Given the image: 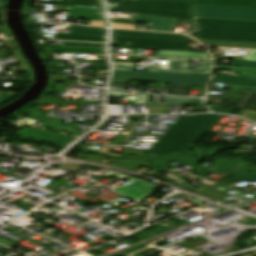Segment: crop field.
Here are the masks:
<instances>
[{"label": "crop field", "mask_w": 256, "mask_h": 256, "mask_svg": "<svg viewBox=\"0 0 256 256\" xmlns=\"http://www.w3.org/2000/svg\"><path fill=\"white\" fill-rule=\"evenodd\" d=\"M220 116L208 114L180 117L147 154L191 153L187 147L196 144Z\"/></svg>", "instance_id": "obj_1"}, {"label": "crop field", "mask_w": 256, "mask_h": 256, "mask_svg": "<svg viewBox=\"0 0 256 256\" xmlns=\"http://www.w3.org/2000/svg\"><path fill=\"white\" fill-rule=\"evenodd\" d=\"M197 21L199 30L196 38L256 42V23L205 19Z\"/></svg>", "instance_id": "obj_2"}, {"label": "crop field", "mask_w": 256, "mask_h": 256, "mask_svg": "<svg viewBox=\"0 0 256 256\" xmlns=\"http://www.w3.org/2000/svg\"><path fill=\"white\" fill-rule=\"evenodd\" d=\"M117 3L118 7L110 6L109 10L139 13L174 19L192 20L189 3L155 2V1H121L107 0Z\"/></svg>", "instance_id": "obj_3"}, {"label": "crop field", "mask_w": 256, "mask_h": 256, "mask_svg": "<svg viewBox=\"0 0 256 256\" xmlns=\"http://www.w3.org/2000/svg\"><path fill=\"white\" fill-rule=\"evenodd\" d=\"M210 75L115 71L112 79L140 80L204 87Z\"/></svg>", "instance_id": "obj_4"}, {"label": "crop field", "mask_w": 256, "mask_h": 256, "mask_svg": "<svg viewBox=\"0 0 256 256\" xmlns=\"http://www.w3.org/2000/svg\"><path fill=\"white\" fill-rule=\"evenodd\" d=\"M194 17L256 21V9L192 6Z\"/></svg>", "instance_id": "obj_5"}, {"label": "crop field", "mask_w": 256, "mask_h": 256, "mask_svg": "<svg viewBox=\"0 0 256 256\" xmlns=\"http://www.w3.org/2000/svg\"><path fill=\"white\" fill-rule=\"evenodd\" d=\"M112 43L129 44L128 49L186 51L188 43L113 37Z\"/></svg>", "instance_id": "obj_6"}, {"label": "crop field", "mask_w": 256, "mask_h": 256, "mask_svg": "<svg viewBox=\"0 0 256 256\" xmlns=\"http://www.w3.org/2000/svg\"><path fill=\"white\" fill-rule=\"evenodd\" d=\"M156 59L168 60L167 63H173V69L150 68V69H147L146 71L211 74L214 68L213 60H211V62H207V60H201L200 67H188L189 59H174V58H156Z\"/></svg>", "instance_id": "obj_7"}, {"label": "crop field", "mask_w": 256, "mask_h": 256, "mask_svg": "<svg viewBox=\"0 0 256 256\" xmlns=\"http://www.w3.org/2000/svg\"><path fill=\"white\" fill-rule=\"evenodd\" d=\"M29 115L42 120L44 122L41 126L42 128L68 133L76 136H79L84 132L77 130L76 124L62 125V119L54 117L48 118L46 117L47 113L44 112L32 111L29 113Z\"/></svg>", "instance_id": "obj_8"}, {"label": "crop field", "mask_w": 256, "mask_h": 256, "mask_svg": "<svg viewBox=\"0 0 256 256\" xmlns=\"http://www.w3.org/2000/svg\"><path fill=\"white\" fill-rule=\"evenodd\" d=\"M19 136L28 137V138H39L44 139L46 141L66 145L72 142L75 137L38 129V128H30V129H24L21 133L18 134Z\"/></svg>", "instance_id": "obj_9"}, {"label": "crop field", "mask_w": 256, "mask_h": 256, "mask_svg": "<svg viewBox=\"0 0 256 256\" xmlns=\"http://www.w3.org/2000/svg\"><path fill=\"white\" fill-rule=\"evenodd\" d=\"M113 36L192 42V40L189 37L183 36V35L123 31V30H113Z\"/></svg>", "instance_id": "obj_10"}, {"label": "crop field", "mask_w": 256, "mask_h": 256, "mask_svg": "<svg viewBox=\"0 0 256 256\" xmlns=\"http://www.w3.org/2000/svg\"><path fill=\"white\" fill-rule=\"evenodd\" d=\"M133 184L116 189V191L132 197L136 200L140 199L145 194L155 190L157 186L141 181L139 179L129 176L128 178Z\"/></svg>", "instance_id": "obj_11"}, {"label": "crop field", "mask_w": 256, "mask_h": 256, "mask_svg": "<svg viewBox=\"0 0 256 256\" xmlns=\"http://www.w3.org/2000/svg\"><path fill=\"white\" fill-rule=\"evenodd\" d=\"M212 82L231 83L229 88L242 91H256V79L215 75Z\"/></svg>", "instance_id": "obj_12"}, {"label": "crop field", "mask_w": 256, "mask_h": 256, "mask_svg": "<svg viewBox=\"0 0 256 256\" xmlns=\"http://www.w3.org/2000/svg\"><path fill=\"white\" fill-rule=\"evenodd\" d=\"M136 21L155 23L152 24L151 30L172 32L177 20L136 14Z\"/></svg>", "instance_id": "obj_13"}, {"label": "crop field", "mask_w": 256, "mask_h": 256, "mask_svg": "<svg viewBox=\"0 0 256 256\" xmlns=\"http://www.w3.org/2000/svg\"><path fill=\"white\" fill-rule=\"evenodd\" d=\"M192 4L256 7V0H191Z\"/></svg>", "instance_id": "obj_14"}, {"label": "crop field", "mask_w": 256, "mask_h": 256, "mask_svg": "<svg viewBox=\"0 0 256 256\" xmlns=\"http://www.w3.org/2000/svg\"><path fill=\"white\" fill-rule=\"evenodd\" d=\"M207 45L222 46V47H237V48H256V43L252 42H231V41H215L197 39Z\"/></svg>", "instance_id": "obj_15"}, {"label": "crop field", "mask_w": 256, "mask_h": 256, "mask_svg": "<svg viewBox=\"0 0 256 256\" xmlns=\"http://www.w3.org/2000/svg\"><path fill=\"white\" fill-rule=\"evenodd\" d=\"M228 105L235 108L256 110V92H246L241 103L228 101Z\"/></svg>", "instance_id": "obj_16"}, {"label": "crop field", "mask_w": 256, "mask_h": 256, "mask_svg": "<svg viewBox=\"0 0 256 256\" xmlns=\"http://www.w3.org/2000/svg\"><path fill=\"white\" fill-rule=\"evenodd\" d=\"M49 52L58 53H91V54H103V49H81V48H54V47H43Z\"/></svg>", "instance_id": "obj_17"}, {"label": "crop field", "mask_w": 256, "mask_h": 256, "mask_svg": "<svg viewBox=\"0 0 256 256\" xmlns=\"http://www.w3.org/2000/svg\"><path fill=\"white\" fill-rule=\"evenodd\" d=\"M156 56L209 58L207 53L157 51Z\"/></svg>", "instance_id": "obj_18"}, {"label": "crop field", "mask_w": 256, "mask_h": 256, "mask_svg": "<svg viewBox=\"0 0 256 256\" xmlns=\"http://www.w3.org/2000/svg\"><path fill=\"white\" fill-rule=\"evenodd\" d=\"M54 39H68V40L104 42V37L87 36V35H75V34H56Z\"/></svg>", "instance_id": "obj_19"}, {"label": "crop field", "mask_w": 256, "mask_h": 256, "mask_svg": "<svg viewBox=\"0 0 256 256\" xmlns=\"http://www.w3.org/2000/svg\"><path fill=\"white\" fill-rule=\"evenodd\" d=\"M70 33L105 36L106 29L80 27L73 25Z\"/></svg>", "instance_id": "obj_20"}, {"label": "crop field", "mask_w": 256, "mask_h": 256, "mask_svg": "<svg viewBox=\"0 0 256 256\" xmlns=\"http://www.w3.org/2000/svg\"><path fill=\"white\" fill-rule=\"evenodd\" d=\"M165 104L190 105L203 104L202 99L166 97Z\"/></svg>", "instance_id": "obj_21"}, {"label": "crop field", "mask_w": 256, "mask_h": 256, "mask_svg": "<svg viewBox=\"0 0 256 256\" xmlns=\"http://www.w3.org/2000/svg\"><path fill=\"white\" fill-rule=\"evenodd\" d=\"M65 4L100 9L98 0H65Z\"/></svg>", "instance_id": "obj_22"}, {"label": "crop field", "mask_w": 256, "mask_h": 256, "mask_svg": "<svg viewBox=\"0 0 256 256\" xmlns=\"http://www.w3.org/2000/svg\"><path fill=\"white\" fill-rule=\"evenodd\" d=\"M220 173L233 175L229 180H235V181H256V175H254V174H248V173H244V172H238V173L220 172Z\"/></svg>", "instance_id": "obj_23"}, {"label": "crop field", "mask_w": 256, "mask_h": 256, "mask_svg": "<svg viewBox=\"0 0 256 256\" xmlns=\"http://www.w3.org/2000/svg\"><path fill=\"white\" fill-rule=\"evenodd\" d=\"M208 90H216V89H208ZM227 94H225L223 100H231V101H237L241 102L245 92L241 91H233V90H220Z\"/></svg>", "instance_id": "obj_24"}, {"label": "crop field", "mask_w": 256, "mask_h": 256, "mask_svg": "<svg viewBox=\"0 0 256 256\" xmlns=\"http://www.w3.org/2000/svg\"><path fill=\"white\" fill-rule=\"evenodd\" d=\"M104 44L62 42L60 47L103 48Z\"/></svg>", "instance_id": "obj_25"}, {"label": "crop field", "mask_w": 256, "mask_h": 256, "mask_svg": "<svg viewBox=\"0 0 256 256\" xmlns=\"http://www.w3.org/2000/svg\"><path fill=\"white\" fill-rule=\"evenodd\" d=\"M64 11H73V12L101 15L100 10H97V9H89V8H81V7H73V6H69Z\"/></svg>", "instance_id": "obj_26"}, {"label": "crop field", "mask_w": 256, "mask_h": 256, "mask_svg": "<svg viewBox=\"0 0 256 256\" xmlns=\"http://www.w3.org/2000/svg\"><path fill=\"white\" fill-rule=\"evenodd\" d=\"M69 17H74V18H85V19H94V20H102L101 16H95V15H85V14H75V13H70Z\"/></svg>", "instance_id": "obj_27"}, {"label": "crop field", "mask_w": 256, "mask_h": 256, "mask_svg": "<svg viewBox=\"0 0 256 256\" xmlns=\"http://www.w3.org/2000/svg\"><path fill=\"white\" fill-rule=\"evenodd\" d=\"M244 76L256 78V68L243 67L242 71Z\"/></svg>", "instance_id": "obj_28"}, {"label": "crop field", "mask_w": 256, "mask_h": 256, "mask_svg": "<svg viewBox=\"0 0 256 256\" xmlns=\"http://www.w3.org/2000/svg\"><path fill=\"white\" fill-rule=\"evenodd\" d=\"M231 65L256 67V62L233 60Z\"/></svg>", "instance_id": "obj_29"}, {"label": "crop field", "mask_w": 256, "mask_h": 256, "mask_svg": "<svg viewBox=\"0 0 256 256\" xmlns=\"http://www.w3.org/2000/svg\"><path fill=\"white\" fill-rule=\"evenodd\" d=\"M240 116L256 121V112L255 111L242 110Z\"/></svg>", "instance_id": "obj_30"}, {"label": "crop field", "mask_w": 256, "mask_h": 256, "mask_svg": "<svg viewBox=\"0 0 256 256\" xmlns=\"http://www.w3.org/2000/svg\"><path fill=\"white\" fill-rule=\"evenodd\" d=\"M109 176H120L122 179H118V180H123L125 179L128 175H125V174H122V173H118V172H115V171H111L109 170L108 172H106L104 175H102V177H109Z\"/></svg>", "instance_id": "obj_31"}, {"label": "crop field", "mask_w": 256, "mask_h": 256, "mask_svg": "<svg viewBox=\"0 0 256 256\" xmlns=\"http://www.w3.org/2000/svg\"><path fill=\"white\" fill-rule=\"evenodd\" d=\"M242 67L219 65L218 69L240 72Z\"/></svg>", "instance_id": "obj_32"}, {"label": "crop field", "mask_w": 256, "mask_h": 256, "mask_svg": "<svg viewBox=\"0 0 256 256\" xmlns=\"http://www.w3.org/2000/svg\"><path fill=\"white\" fill-rule=\"evenodd\" d=\"M14 95H16L15 93H10V92H7L3 95L0 96V104L8 101L9 99H11Z\"/></svg>", "instance_id": "obj_33"}, {"label": "crop field", "mask_w": 256, "mask_h": 256, "mask_svg": "<svg viewBox=\"0 0 256 256\" xmlns=\"http://www.w3.org/2000/svg\"><path fill=\"white\" fill-rule=\"evenodd\" d=\"M115 70L133 71L134 65H114Z\"/></svg>", "instance_id": "obj_34"}, {"label": "crop field", "mask_w": 256, "mask_h": 256, "mask_svg": "<svg viewBox=\"0 0 256 256\" xmlns=\"http://www.w3.org/2000/svg\"><path fill=\"white\" fill-rule=\"evenodd\" d=\"M211 109L214 112H223V113H229L232 114L234 109H229V108H217V107H211Z\"/></svg>", "instance_id": "obj_35"}, {"label": "crop field", "mask_w": 256, "mask_h": 256, "mask_svg": "<svg viewBox=\"0 0 256 256\" xmlns=\"http://www.w3.org/2000/svg\"><path fill=\"white\" fill-rule=\"evenodd\" d=\"M243 60L256 61V51H249L247 57H244Z\"/></svg>", "instance_id": "obj_36"}, {"label": "crop field", "mask_w": 256, "mask_h": 256, "mask_svg": "<svg viewBox=\"0 0 256 256\" xmlns=\"http://www.w3.org/2000/svg\"><path fill=\"white\" fill-rule=\"evenodd\" d=\"M113 27L135 29V25H126V24L113 23Z\"/></svg>", "instance_id": "obj_37"}, {"label": "crop field", "mask_w": 256, "mask_h": 256, "mask_svg": "<svg viewBox=\"0 0 256 256\" xmlns=\"http://www.w3.org/2000/svg\"><path fill=\"white\" fill-rule=\"evenodd\" d=\"M112 22L115 23H126V24H135L136 21H124V20H116V19H110Z\"/></svg>", "instance_id": "obj_38"}, {"label": "crop field", "mask_w": 256, "mask_h": 256, "mask_svg": "<svg viewBox=\"0 0 256 256\" xmlns=\"http://www.w3.org/2000/svg\"><path fill=\"white\" fill-rule=\"evenodd\" d=\"M90 26H104L102 22L100 21H94V20H91Z\"/></svg>", "instance_id": "obj_39"}, {"label": "crop field", "mask_w": 256, "mask_h": 256, "mask_svg": "<svg viewBox=\"0 0 256 256\" xmlns=\"http://www.w3.org/2000/svg\"><path fill=\"white\" fill-rule=\"evenodd\" d=\"M246 144H251V145H255L256 146V138H250Z\"/></svg>", "instance_id": "obj_40"}, {"label": "crop field", "mask_w": 256, "mask_h": 256, "mask_svg": "<svg viewBox=\"0 0 256 256\" xmlns=\"http://www.w3.org/2000/svg\"><path fill=\"white\" fill-rule=\"evenodd\" d=\"M156 1L188 2V0H156Z\"/></svg>", "instance_id": "obj_41"}, {"label": "crop field", "mask_w": 256, "mask_h": 256, "mask_svg": "<svg viewBox=\"0 0 256 256\" xmlns=\"http://www.w3.org/2000/svg\"><path fill=\"white\" fill-rule=\"evenodd\" d=\"M199 179H201V178H199ZM202 180H204V179H202ZM202 183L214 185L217 182L204 180Z\"/></svg>", "instance_id": "obj_42"}, {"label": "crop field", "mask_w": 256, "mask_h": 256, "mask_svg": "<svg viewBox=\"0 0 256 256\" xmlns=\"http://www.w3.org/2000/svg\"><path fill=\"white\" fill-rule=\"evenodd\" d=\"M220 183H217L216 184V186H220V187H224V188H228V189H233V190H237V189H235V188H229V187H225V186H223V185H219Z\"/></svg>", "instance_id": "obj_43"}, {"label": "crop field", "mask_w": 256, "mask_h": 256, "mask_svg": "<svg viewBox=\"0 0 256 256\" xmlns=\"http://www.w3.org/2000/svg\"><path fill=\"white\" fill-rule=\"evenodd\" d=\"M152 57H140L139 59H143V60H149L151 59Z\"/></svg>", "instance_id": "obj_44"}, {"label": "crop field", "mask_w": 256, "mask_h": 256, "mask_svg": "<svg viewBox=\"0 0 256 256\" xmlns=\"http://www.w3.org/2000/svg\"><path fill=\"white\" fill-rule=\"evenodd\" d=\"M213 171H215V170H211V171H209V172H207V173H205V174H203V175H201V176H205V175H207V174H209V173H211V172H213Z\"/></svg>", "instance_id": "obj_45"}]
</instances>
